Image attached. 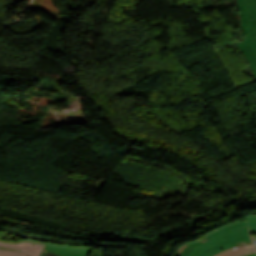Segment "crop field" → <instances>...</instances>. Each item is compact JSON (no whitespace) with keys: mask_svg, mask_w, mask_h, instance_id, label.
<instances>
[{"mask_svg":"<svg viewBox=\"0 0 256 256\" xmlns=\"http://www.w3.org/2000/svg\"><path fill=\"white\" fill-rule=\"evenodd\" d=\"M252 242L246 221L225 225L207 236L180 247L174 256H213L227 248Z\"/></svg>","mask_w":256,"mask_h":256,"instance_id":"1","label":"crop field"},{"mask_svg":"<svg viewBox=\"0 0 256 256\" xmlns=\"http://www.w3.org/2000/svg\"><path fill=\"white\" fill-rule=\"evenodd\" d=\"M245 40L240 50L256 77V0H239Z\"/></svg>","mask_w":256,"mask_h":256,"instance_id":"2","label":"crop field"},{"mask_svg":"<svg viewBox=\"0 0 256 256\" xmlns=\"http://www.w3.org/2000/svg\"><path fill=\"white\" fill-rule=\"evenodd\" d=\"M43 246L32 243L0 242V256H39Z\"/></svg>","mask_w":256,"mask_h":256,"instance_id":"3","label":"crop field"},{"mask_svg":"<svg viewBox=\"0 0 256 256\" xmlns=\"http://www.w3.org/2000/svg\"><path fill=\"white\" fill-rule=\"evenodd\" d=\"M23 242H32L36 244L45 245L40 256H43L46 253L58 254L59 256H88L91 248H83L76 246H62L56 244H48L38 241H29L25 240Z\"/></svg>","mask_w":256,"mask_h":256,"instance_id":"4","label":"crop field"},{"mask_svg":"<svg viewBox=\"0 0 256 256\" xmlns=\"http://www.w3.org/2000/svg\"><path fill=\"white\" fill-rule=\"evenodd\" d=\"M256 252L253 243L241 245L235 248L228 249L216 256H242L248 253Z\"/></svg>","mask_w":256,"mask_h":256,"instance_id":"5","label":"crop field"},{"mask_svg":"<svg viewBox=\"0 0 256 256\" xmlns=\"http://www.w3.org/2000/svg\"><path fill=\"white\" fill-rule=\"evenodd\" d=\"M248 224L250 228L251 235L256 234V215L255 216H247Z\"/></svg>","mask_w":256,"mask_h":256,"instance_id":"6","label":"crop field"},{"mask_svg":"<svg viewBox=\"0 0 256 256\" xmlns=\"http://www.w3.org/2000/svg\"><path fill=\"white\" fill-rule=\"evenodd\" d=\"M245 256H256V253L248 254V255H245Z\"/></svg>","mask_w":256,"mask_h":256,"instance_id":"7","label":"crop field"},{"mask_svg":"<svg viewBox=\"0 0 256 256\" xmlns=\"http://www.w3.org/2000/svg\"><path fill=\"white\" fill-rule=\"evenodd\" d=\"M252 239H253V241H254V243L256 245V237H253Z\"/></svg>","mask_w":256,"mask_h":256,"instance_id":"8","label":"crop field"}]
</instances>
